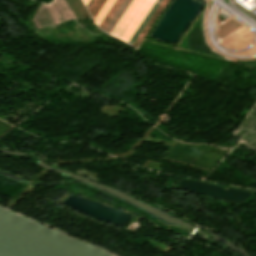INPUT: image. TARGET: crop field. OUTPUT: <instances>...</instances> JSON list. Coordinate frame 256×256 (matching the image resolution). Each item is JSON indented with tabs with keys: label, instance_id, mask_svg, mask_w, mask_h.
Listing matches in <instances>:
<instances>
[{
	"label": "crop field",
	"instance_id": "obj_1",
	"mask_svg": "<svg viewBox=\"0 0 256 256\" xmlns=\"http://www.w3.org/2000/svg\"><path fill=\"white\" fill-rule=\"evenodd\" d=\"M154 2L155 0H133L111 35L127 42Z\"/></svg>",
	"mask_w": 256,
	"mask_h": 256
},
{
	"label": "crop field",
	"instance_id": "obj_2",
	"mask_svg": "<svg viewBox=\"0 0 256 256\" xmlns=\"http://www.w3.org/2000/svg\"><path fill=\"white\" fill-rule=\"evenodd\" d=\"M169 0H163L161 2V4L159 5V7L157 8V10L155 11V13L152 15V17L150 18V20L148 21V23L146 24V26L144 27V29L142 30V32L140 33V35L137 37V39L135 40V42L133 43V46L138 47V45L140 44V42L142 41V39L144 38L145 34L147 33V31L149 30V28L152 26V24L154 23V21L156 20V18L159 16V14L161 13V11L163 10V8L166 6V4L168 3Z\"/></svg>",
	"mask_w": 256,
	"mask_h": 256
},
{
	"label": "crop field",
	"instance_id": "obj_3",
	"mask_svg": "<svg viewBox=\"0 0 256 256\" xmlns=\"http://www.w3.org/2000/svg\"><path fill=\"white\" fill-rule=\"evenodd\" d=\"M131 1L132 0L123 1V3L121 4V6L119 7V9L117 10V12L115 13V15L113 16V18L111 19V21L109 22L104 31L110 34V32L112 31V29L114 28V26L116 25V23L118 22V20L120 19V17L122 16V14L124 13V11L126 10Z\"/></svg>",
	"mask_w": 256,
	"mask_h": 256
},
{
	"label": "crop field",
	"instance_id": "obj_4",
	"mask_svg": "<svg viewBox=\"0 0 256 256\" xmlns=\"http://www.w3.org/2000/svg\"><path fill=\"white\" fill-rule=\"evenodd\" d=\"M161 1L162 0H156V2L153 4V6L151 7V9L147 13V15L144 17V19L142 20L140 25L137 27V29L135 30V32L133 33V35L129 39V41H128L129 44L132 45V43L134 42V40L136 39L138 34L141 32V30L143 29V27L145 26V24L147 23V21L149 20V18L151 17L153 12L156 10V8L158 7V5L160 4Z\"/></svg>",
	"mask_w": 256,
	"mask_h": 256
},
{
	"label": "crop field",
	"instance_id": "obj_5",
	"mask_svg": "<svg viewBox=\"0 0 256 256\" xmlns=\"http://www.w3.org/2000/svg\"><path fill=\"white\" fill-rule=\"evenodd\" d=\"M123 0H116L115 3L113 4V6L111 7V9L108 11V13L106 14V16L104 17V19L101 21V23L99 24L98 27H100L101 29L104 30V28L106 27V25L108 24V22L110 21V19L112 18V16L114 15V13L116 12V10L118 9V7L120 6V4L122 3Z\"/></svg>",
	"mask_w": 256,
	"mask_h": 256
},
{
	"label": "crop field",
	"instance_id": "obj_6",
	"mask_svg": "<svg viewBox=\"0 0 256 256\" xmlns=\"http://www.w3.org/2000/svg\"><path fill=\"white\" fill-rule=\"evenodd\" d=\"M105 2L106 0H92V2L87 8L91 14L92 19L96 17V15L98 14V12L100 11Z\"/></svg>",
	"mask_w": 256,
	"mask_h": 256
},
{
	"label": "crop field",
	"instance_id": "obj_7",
	"mask_svg": "<svg viewBox=\"0 0 256 256\" xmlns=\"http://www.w3.org/2000/svg\"><path fill=\"white\" fill-rule=\"evenodd\" d=\"M115 0H108L105 5L103 6V8L101 9V11L99 12V14L97 15V17L95 18L94 22L97 24L100 23V21L103 19V17L105 16V14L107 13V11L110 9V7L112 6V4L114 3Z\"/></svg>",
	"mask_w": 256,
	"mask_h": 256
},
{
	"label": "crop field",
	"instance_id": "obj_8",
	"mask_svg": "<svg viewBox=\"0 0 256 256\" xmlns=\"http://www.w3.org/2000/svg\"><path fill=\"white\" fill-rule=\"evenodd\" d=\"M88 1H89V0H83L85 6H86V4L88 3Z\"/></svg>",
	"mask_w": 256,
	"mask_h": 256
}]
</instances>
